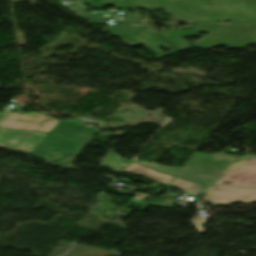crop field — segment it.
I'll return each instance as SVG.
<instances>
[{
  "label": "crop field",
  "mask_w": 256,
  "mask_h": 256,
  "mask_svg": "<svg viewBox=\"0 0 256 256\" xmlns=\"http://www.w3.org/2000/svg\"><path fill=\"white\" fill-rule=\"evenodd\" d=\"M167 14L195 23L256 22V0H161Z\"/></svg>",
  "instance_id": "8a807250"
},
{
  "label": "crop field",
  "mask_w": 256,
  "mask_h": 256,
  "mask_svg": "<svg viewBox=\"0 0 256 256\" xmlns=\"http://www.w3.org/2000/svg\"><path fill=\"white\" fill-rule=\"evenodd\" d=\"M197 32L208 31L209 35L194 42L197 48L208 49L220 45L227 48H243L256 44V23L230 25H195Z\"/></svg>",
  "instance_id": "ac0d7876"
},
{
  "label": "crop field",
  "mask_w": 256,
  "mask_h": 256,
  "mask_svg": "<svg viewBox=\"0 0 256 256\" xmlns=\"http://www.w3.org/2000/svg\"><path fill=\"white\" fill-rule=\"evenodd\" d=\"M233 158L221 153L210 155L195 152L176 177L210 185Z\"/></svg>",
  "instance_id": "34b2d1b8"
},
{
  "label": "crop field",
  "mask_w": 256,
  "mask_h": 256,
  "mask_svg": "<svg viewBox=\"0 0 256 256\" xmlns=\"http://www.w3.org/2000/svg\"><path fill=\"white\" fill-rule=\"evenodd\" d=\"M125 44L136 46L143 44L152 51L157 58L167 56L180 50L188 49L190 43L182 38L176 31L150 32L144 34L119 37ZM163 46L172 52L163 53L158 47Z\"/></svg>",
  "instance_id": "412701ff"
},
{
  "label": "crop field",
  "mask_w": 256,
  "mask_h": 256,
  "mask_svg": "<svg viewBox=\"0 0 256 256\" xmlns=\"http://www.w3.org/2000/svg\"><path fill=\"white\" fill-rule=\"evenodd\" d=\"M214 185L256 188V157L247 156L236 159Z\"/></svg>",
  "instance_id": "f4fd0767"
},
{
  "label": "crop field",
  "mask_w": 256,
  "mask_h": 256,
  "mask_svg": "<svg viewBox=\"0 0 256 256\" xmlns=\"http://www.w3.org/2000/svg\"><path fill=\"white\" fill-rule=\"evenodd\" d=\"M84 144L65 137L47 135L31 154L51 161L54 159L61 160L64 156L57 155L56 151L76 155Z\"/></svg>",
  "instance_id": "dd49c442"
},
{
  "label": "crop field",
  "mask_w": 256,
  "mask_h": 256,
  "mask_svg": "<svg viewBox=\"0 0 256 256\" xmlns=\"http://www.w3.org/2000/svg\"><path fill=\"white\" fill-rule=\"evenodd\" d=\"M58 122L59 120L45 117L36 112L31 115L9 113L0 126L48 133Z\"/></svg>",
  "instance_id": "e52e79f7"
},
{
  "label": "crop field",
  "mask_w": 256,
  "mask_h": 256,
  "mask_svg": "<svg viewBox=\"0 0 256 256\" xmlns=\"http://www.w3.org/2000/svg\"><path fill=\"white\" fill-rule=\"evenodd\" d=\"M45 136L46 134L40 132L0 128V147H9L30 153Z\"/></svg>",
  "instance_id": "d8731c3e"
},
{
  "label": "crop field",
  "mask_w": 256,
  "mask_h": 256,
  "mask_svg": "<svg viewBox=\"0 0 256 256\" xmlns=\"http://www.w3.org/2000/svg\"><path fill=\"white\" fill-rule=\"evenodd\" d=\"M205 202L211 205H228L231 202H256L255 189L213 188L207 194Z\"/></svg>",
  "instance_id": "5a996713"
},
{
  "label": "crop field",
  "mask_w": 256,
  "mask_h": 256,
  "mask_svg": "<svg viewBox=\"0 0 256 256\" xmlns=\"http://www.w3.org/2000/svg\"><path fill=\"white\" fill-rule=\"evenodd\" d=\"M49 133L63 135L78 141L88 142L94 136L96 130L60 121Z\"/></svg>",
  "instance_id": "3316defc"
},
{
  "label": "crop field",
  "mask_w": 256,
  "mask_h": 256,
  "mask_svg": "<svg viewBox=\"0 0 256 256\" xmlns=\"http://www.w3.org/2000/svg\"><path fill=\"white\" fill-rule=\"evenodd\" d=\"M130 17V21L116 22L113 26L108 27L112 36H121L135 33L147 32L142 21L133 13L124 12ZM141 23L142 27H132L131 24Z\"/></svg>",
  "instance_id": "28ad6ade"
},
{
  "label": "crop field",
  "mask_w": 256,
  "mask_h": 256,
  "mask_svg": "<svg viewBox=\"0 0 256 256\" xmlns=\"http://www.w3.org/2000/svg\"><path fill=\"white\" fill-rule=\"evenodd\" d=\"M124 172L134 174V175H139L149 180H152L154 182L164 183V184H169V182L173 178V176L165 175L160 172H155L151 168H147L134 163H131Z\"/></svg>",
  "instance_id": "d1516ede"
},
{
  "label": "crop field",
  "mask_w": 256,
  "mask_h": 256,
  "mask_svg": "<svg viewBox=\"0 0 256 256\" xmlns=\"http://www.w3.org/2000/svg\"><path fill=\"white\" fill-rule=\"evenodd\" d=\"M103 5L125 8H162L160 0H101Z\"/></svg>",
  "instance_id": "22f410ed"
},
{
  "label": "crop field",
  "mask_w": 256,
  "mask_h": 256,
  "mask_svg": "<svg viewBox=\"0 0 256 256\" xmlns=\"http://www.w3.org/2000/svg\"><path fill=\"white\" fill-rule=\"evenodd\" d=\"M84 8L86 7L78 3H74L67 6V11L92 24L102 25L106 23L104 20L98 18L97 16L83 10Z\"/></svg>",
  "instance_id": "cbeb9de0"
},
{
  "label": "crop field",
  "mask_w": 256,
  "mask_h": 256,
  "mask_svg": "<svg viewBox=\"0 0 256 256\" xmlns=\"http://www.w3.org/2000/svg\"><path fill=\"white\" fill-rule=\"evenodd\" d=\"M170 185L192 194H201L205 192L209 187L202 186L200 184H196L176 177L173 178V180L170 182Z\"/></svg>",
  "instance_id": "5142ce71"
},
{
  "label": "crop field",
  "mask_w": 256,
  "mask_h": 256,
  "mask_svg": "<svg viewBox=\"0 0 256 256\" xmlns=\"http://www.w3.org/2000/svg\"><path fill=\"white\" fill-rule=\"evenodd\" d=\"M134 163H138L144 166H148L153 168L155 171H160L165 174L173 175L175 176L177 172L180 170L179 168H173V167H167V166H161V165H155V164H149L145 162H139V161H133Z\"/></svg>",
  "instance_id": "d9b57169"
},
{
  "label": "crop field",
  "mask_w": 256,
  "mask_h": 256,
  "mask_svg": "<svg viewBox=\"0 0 256 256\" xmlns=\"http://www.w3.org/2000/svg\"><path fill=\"white\" fill-rule=\"evenodd\" d=\"M175 204V201L167 200L165 199L164 202H158L154 201L152 204L153 207H159V208H167V209H172Z\"/></svg>",
  "instance_id": "733c2abd"
},
{
  "label": "crop field",
  "mask_w": 256,
  "mask_h": 256,
  "mask_svg": "<svg viewBox=\"0 0 256 256\" xmlns=\"http://www.w3.org/2000/svg\"><path fill=\"white\" fill-rule=\"evenodd\" d=\"M206 219L205 218H199V219H195L192 220L191 223L194 224V226L196 227V229L200 232V233H204L203 228H201L205 223H206Z\"/></svg>",
  "instance_id": "4a817a6b"
},
{
  "label": "crop field",
  "mask_w": 256,
  "mask_h": 256,
  "mask_svg": "<svg viewBox=\"0 0 256 256\" xmlns=\"http://www.w3.org/2000/svg\"><path fill=\"white\" fill-rule=\"evenodd\" d=\"M177 32H178L182 37L197 35V32L194 31L193 29H191V30H182V31H177Z\"/></svg>",
  "instance_id": "bc2a9ffb"
},
{
  "label": "crop field",
  "mask_w": 256,
  "mask_h": 256,
  "mask_svg": "<svg viewBox=\"0 0 256 256\" xmlns=\"http://www.w3.org/2000/svg\"><path fill=\"white\" fill-rule=\"evenodd\" d=\"M144 25H145V27H146V29H147L148 32H149V31H152L151 28L148 26V24H147L146 22H144Z\"/></svg>",
  "instance_id": "214f88e0"
},
{
  "label": "crop field",
  "mask_w": 256,
  "mask_h": 256,
  "mask_svg": "<svg viewBox=\"0 0 256 256\" xmlns=\"http://www.w3.org/2000/svg\"><path fill=\"white\" fill-rule=\"evenodd\" d=\"M250 153V149L249 147H247V155Z\"/></svg>",
  "instance_id": "92a150f3"
},
{
  "label": "crop field",
  "mask_w": 256,
  "mask_h": 256,
  "mask_svg": "<svg viewBox=\"0 0 256 256\" xmlns=\"http://www.w3.org/2000/svg\"><path fill=\"white\" fill-rule=\"evenodd\" d=\"M120 180H121V181H127L126 179H122V178H120ZM127 182H129V181H127Z\"/></svg>",
  "instance_id": "dafd665d"
},
{
  "label": "crop field",
  "mask_w": 256,
  "mask_h": 256,
  "mask_svg": "<svg viewBox=\"0 0 256 256\" xmlns=\"http://www.w3.org/2000/svg\"><path fill=\"white\" fill-rule=\"evenodd\" d=\"M3 114H4V113H0V119H1V117L3 116Z\"/></svg>",
  "instance_id": "00972430"
}]
</instances>
